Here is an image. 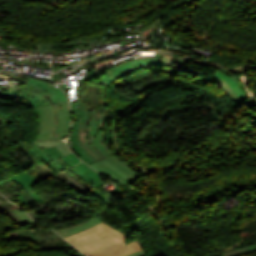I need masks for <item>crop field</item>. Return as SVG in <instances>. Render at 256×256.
<instances>
[{
	"mask_svg": "<svg viewBox=\"0 0 256 256\" xmlns=\"http://www.w3.org/2000/svg\"><path fill=\"white\" fill-rule=\"evenodd\" d=\"M99 92H100L99 96H101L104 99L103 105H106V103H105L106 97H105L104 87L101 86V90Z\"/></svg>",
	"mask_w": 256,
	"mask_h": 256,
	"instance_id": "dafd665d",
	"label": "crop field"
},
{
	"mask_svg": "<svg viewBox=\"0 0 256 256\" xmlns=\"http://www.w3.org/2000/svg\"><path fill=\"white\" fill-rule=\"evenodd\" d=\"M165 13H162L158 18H156L151 24L143 27V28H139V31L141 32V34L145 37L147 34H149L153 29H155L159 24H161L162 21L160 18L164 15Z\"/></svg>",
	"mask_w": 256,
	"mask_h": 256,
	"instance_id": "cbeb9de0",
	"label": "crop field"
},
{
	"mask_svg": "<svg viewBox=\"0 0 256 256\" xmlns=\"http://www.w3.org/2000/svg\"><path fill=\"white\" fill-rule=\"evenodd\" d=\"M0 88H1V91H4V92H9V93H12V94H14V93L19 94V91H16V90H13V89H10V88H7V87L0 86Z\"/></svg>",
	"mask_w": 256,
	"mask_h": 256,
	"instance_id": "214f88e0",
	"label": "crop field"
},
{
	"mask_svg": "<svg viewBox=\"0 0 256 256\" xmlns=\"http://www.w3.org/2000/svg\"><path fill=\"white\" fill-rule=\"evenodd\" d=\"M215 76L223 79L225 82H227L231 88L238 94V96L240 97L241 101H246L248 100V98H246L243 94V92L241 91V89L239 88V84L237 83V81H235L233 78L221 73V72H217L215 74Z\"/></svg>",
	"mask_w": 256,
	"mask_h": 256,
	"instance_id": "d1516ede",
	"label": "crop field"
},
{
	"mask_svg": "<svg viewBox=\"0 0 256 256\" xmlns=\"http://www.w3.org/2000/svg\"><path fill=\"white\" fill-rule=\"evenodd\" d=\"M65 239L88 256H119L125 245V236L103 223Z\"/></svg>",
	"mask_w": 256,
	"mask_h": 256,
	"instance_id": "8a807250",
	"label": "crop field"
},
{
	"mask_svg": "<svg viewBox=\"0 0 256 256\" xmlns=\"http://www.w3.org/2000/svg\"><path fill=\"white\" fill-rule=\"evenodd\" d=\"M162 60L163 58H143V59H138V60H132V61H128V62H125V63H122L120 65H117L115 67H113V72L105 75L104 77H102L99 81H98V85L102 84L109 76H111L112 74L124 69V68H127V67H130L132 65H135V64H143V63H162Z\"/></svg>",
	"mask_w": 256,
	"mask_h": 256,
	"instance_id": "3316defc",
	"label": "crop field"
},
{
	"mask_svg": "<svg viewBox=\"0 0 256 256\" xmlns=\"http://www.w3.org/2000/svg\"><path fill=\"white\" fill-rule=\"evenodd\" d=\"M107 115H100L95 112L92 113L90 119V128H89V140L94 147L105 157L112 155V151L107 147L104 139L108 130H105L103 127V122L107 120ZM99 148L101 150H99Z\"/></svg>",
	"mask_w": 256,
	"mask_h": 256,
	"instance_id": "dd49c442",
	"label": "crop field"
},
{
	"mask_svg": "<svg viewBox=\"0 0 256 256\" xmlns=\"http://www.w3.org/2000/svg\"><path fill=\"white\" fill-rule=\"evenodd\" d=\"M69 170L72 171L75 175H77L80 179H82L85 183H87L90 187H92L94 190L89 192L99 197L107 205V207L113 206L110 200L98 188L103 185L99 178L98 173L93 171L83 162L72 167Z\"/></svg>",
	"mask_w": 256,
	"mask_h": 256,
	"instance_id": "e52e79f7",
	"label": "crop field"
},
{
	"mask_svg": "<svg viewBox=\"0 0 256 256\" xmlns=\"http://www.w3.org/2000/svg\"><path fill=\"white\" fill-rule=\"evenodd\" d=\"M67 165H69L70 167L81 162V160H79L77 157H75L73 155V153L67 155V156H64L61 158Z\"/></svg>",
	"mask_w": 256,
	"mask_h": 256,
	"instance_id": "d9b57169",
	"label": "crop field"
},
{
	"mask_svg": "<svg viewBox=\"0 0 256 256\" xmlns=\"http://www.w3.org/2000/svg\"><path fill=\"white\" fill-rule=\"evenodd\" d=\"M12 179L19 183L21 186H23L38 202L42 201L38 194L30 187L38 183V181L33 178L28 172L16 175L12 177Z\"/></svg>",
	"mask_w": 256,
	"mask_h": 256,
	"instance_id": "5a996713",
	"label": "crop field"
},
{
	"mask_svg": "<svg viewBox=\"0 0 256 256\" xmlns=\"http://www.w3.org/2000/svg\"><path fill=\"white\" fill-rule=\"evenodd\" d=\"M32 147L36 149L48 162L71 153L64 141L39 142L35 143Z\"/></svg>",
	"mask_w": 256,
	"mask_h": 256,
	"instance_id": "d8731c3e",
	"label": "crop field"
},
{
	"mask_svg": "<svg viewBox=\"0 0 256 256\" xmlns=\"http://www.w3.org/2000/svg\"><path fill=\"white\" fill-rule=\"evenodd\" d=\"M55 86L31 78L15 100L29 105V108L68 101L66 95Z\"/></svg>",
	"mask_w": 256,
	"mask_h": 256,
	"instance_id": "34b2d1b8",
	"label": "crop field"
},
{
	"mask_svg": "<svg viewBox=\"0 0 256 256\" xmlns=\"http://www.w3.org/2000/svg\"><path fill=\"white\" fill-rule=\"evenodd\" d=\"M19 218L25 223H32L34 222L25 212H23L21 209H15L13 210Z\"/></svg>",
	"mask_w": 256,
	"mask_h": 256,
	"instance_id": "733c2abd",
	"label": "crop field"
},
{
	"mask_svg": "<svg viewBox=\"0 0 256 256\" xmlns=\"http://www.w3.org/2000/svg\"><path fill=\"white\" fill-rule=\"evenodd\" d=\"M86 60H88V59H82L80 61L72 62L71 64L74 65V64H77V63H83Z\"/></svg>",
	"mask_w": 256,
	"mask_h": 256,
	"instance_id": "00972430",
	"label": "crop field"
},
{
	"mask_svg": "<svg viewBox=\"0 0 256 256\" xmlns=\"http://www.w3.org/2000/svg\"><path fill=\"white\" fill-rule=\"evenodd\" d=\"M160 53L162 54H157V57H164L163 63L172 64L174 58L176 57V54L163 53V52H160Z\"/></svg>",
	"mask_w": 256,
	"mask_h": 256,
	"instance_id": "4a817a6b",
	"label": "crop field"
},
{
	"mask_svg": "<svg viewBox=\"0 0 256 256\" xmlns=\"http://www.w3.org/2000/svg\"><path fill=\"white\" fill-rule=\"evenodd\" d=\"M142 249L141 246L139 245L138 241H134L132 243H128L126 244L124 250L122 251L121 255L120 256H123V255H126V254H129L131 252H134V251H137V250H140Z\"/></svg>",
	"mask_w": 256,
	"mask_h": 256,
	"instance_id": "5142ce71",
	"label": "crop field"
},
{
	"mask_svg": "<svg viewBox=\"0 0 256 256\" xmlns=\"http://www.w3.org/2000/svg\"><path fill=\"white\" fill-rule=\"evenodd\" d=\"M210 80H212L213 82H215L216 84L221 86L223 88V90L230 95L234 104L241 103L237 94L229 87V85L227 83H225L224 81H222L214 76Z\"/></svg>",
	"mask_w": 256,
	"mask_h": 256,
	"instance_id": "22f410ed",
	"label": "crop field"
},
{
	"mask_svg": "<svg viewBox=\"0 0 256 256\" xmlns=\"http://www.w3.org/2000/svg\"><path fill=\"white\" fill-rule=\"evenodd\" d=\"M102 223V221H100L98 218L91 220L89 222H86L84 224H81L79 226H75V227H70V228H65V229H61V230H57L56 232L58 234H60L63 238L73 235L75 233L81 232L89 227L95 226L97 224Z\"/></svg>",
	"mask_w": 256,
	"mask_h": 256,
	"instance_id": "28ad6ade",
	"label": "crop field"
},
{
	"mask_svg": "<svg viewBox=\"0 0 256 256\" xmlns=\"http://www.w3.org/2000/svg\"><path fill=\"white\" fill-rule=\"evenodd\" d=\"M126 256H146V255H145L144 250L142 249V250H140V251H137V252L131 253V254L126 255Z\"/></svg>",
	"mask_w": 256,
	"mask_h": 256,
	"instance_id": "92a150f3",
	"label": "crop field"
},
{
	"mask_svg": "<svg viewBox=\"0 0 256 256\" xmlns=\"http://www.w3.org/2000/svg\"><path fill=\"white\" fill-rule=\"evenodd\" d=\"M39 118L38 141L61 139L67 136L70 124V107L68 102L35 108Z\"/></svg>",
	"mask_w": 256,
	"mask_h": 256,
	"instance_id": "ac0d7876",
	"label": "crop field"
},
{
	"mask_svg": "<svg viewBox=\"0 0 256 256\" xmlns=\"http://www.w3.org/2000/svg\"><path fill=\"white\" fill-rule=\"evenodd\" d=\"M127 165L115 155L91 164L97 171L125 184L136 180L140 175Z\"/></svg>",
	"mask_w": 256,
	"mask_h": 256,
	"instance_id": "412701ff",
	"label": "crop field"
},
{
	"mask_svg": "<svg viewBox=\"0 0 256 256\" xmlns=\"http://www.w3.org/2000/svg\"><path fill=\"white\" fill-rule=\"evenodd\" d=\"M22 78L27 79V80H29V79H30V77H27V76H24V77H22Z\"/></svg>",
	"mask_w": 256,
	"mask_h": 256,
	"instance_id": "a9b5d70f",
	"label": "crop field"
},
{
	"mask_svg": "<svg viewBox=\"0 0 256 256\" xmlns=\"http://www.w3.org/2000/svg\"><path fill=\"white\" fill-rule=\"evenodd\" d=\"M78 107H79V121L73 122L68 145L77 156H79L87 164H90L98 160L91 157L89 152L86 151L87 149L86 150L84 149L82 143L79 141V138L76 134L80 121H82L85 128L88 125L87 124V120L89 118L88 109H90V107L85 102H78Z\"/></svg>",
	"mask_w": 256,
	"mask_h": 256,
	"instance_id": "f4fd0767",
	"label": "crop field"
},
{
	"mask_svg": "<svg viewBox=\"0 0 256 256\" xmlns=\"http://www.w3.org/2000/svg\"><path fill=\"white\" fill-rule=\"evenodd\" d=\"M107 68H108V70H109L107 73L113 71V70L111 69V67L107 66V67H104V68H100V69L93 70L91 73L87 74V77H84V78H82V79H84V80H89L90 78L94 77V76L97 75L99 72H101V71H103V70H105V69H107ZM90 80H91V79H90Z\"/></svg>",
	"mask_w": 256,
	"mask_h": 256,
	"instance_id": "bc2a9ffb",
	"label": "crop field"
}]
</instances>
